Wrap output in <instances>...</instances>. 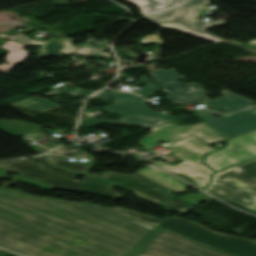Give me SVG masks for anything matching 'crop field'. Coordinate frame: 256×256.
<instances>
[{"label":"crop field","mask_w":256,"mask_h":256,"mask_svg":"<svg viewBox=\"0 0 256 256\" xmlns=\"http://www.w3.org/2000/svg\"><path fill=\"white\" fill-rule=\"evenodd\" d=\"M139 173L177 191V192H181L184 191L186 187L184 184H182L181 182L173 179L171 176H168L167 173L165 172H161L159 169H155L151 166L146 167L142 170L139 171Z\"/></svg>","instance_id":"obj_17"},{"label":"crop field","mask_w":256,"mask_h":256,"mask_svg":"<svg viewBox=\"0 0 256 256\" xmlns=\"http://www.w3.org/2000/svg\"><path fill=\"white\" fill-rule=\"evenodd\" d=\"M151 75H153L156 81L164 88V91H167V88H174L173 91H168L171 95L167 97L174 104L199 103L207 99V96L204 95L205 92L199 84H182L176 82L182 77L172 69L169 71L160 69ZM183 85H186L187 87H181Z\"/></svg>","instance_id":"obj_13"},{"label":"crop field","mask_w":256,"mask_h":256,"mask_svg":"<svg viewBox=\"0 0 256 256\" xmlns=\"http://www.w3.org/2000/svg\"><path fill=\"white\" fill-rule=\"evenodd\" d=\"M246 46L256 49V40L247 43Z\"/></svg>","instance_id":"obj_32"},{"label":"crop field","mask_w":256,"mask_h":256,"mask_svg":"<svg viewBox=\"0 0 256 256\" xmlns=\"http://www.w3.org/2000/svg\"><path fill=\"white\" fill-rule=\"evenodd\" d=\"M0 205L20 210L39 211L81 220L80 223L45 215H28L0 206V247L24 256L34 252L52 237H80L114 252L131 255L159 229L150 224L92 203H69L52 198L33 197L13 189H0ZM133 220L148 227V233L136 232L125 223ZM26 244L24 250L10 246L14 241ZM134 256H230L162 230Z\"/></svg>","instance_id":"obj_1"},{"label":"crop field","mask_w":256,"mask_h":256,"mask_svg":"<svg viewBox=\"0 0 256 256\" xmlns=\"http://www.w3.org/2000/svg\"><path fill=\"white\" fill-rule=\"evenodd\" d=\"M163 207L169 210L176 211L178 213L186 215L190 212L198 203L186 198L175 197L161 204Z\"/></svg>","instance_id":"obj_20"},{"label":"crop field","mask_w":256,"mask_h":256,"mask_svg":"<svg viewBox=\"0 0 256 256\" xmlns=\"http://www.w3.org/2000/svg\"><path fill=\"white\" fill-rule=\"evenodd\" d=\"M158 226L234 256H256V242L214 232L180 218L170 217Z\"/></svg>","instance_id":"obj_5"},{"label":"crop field","mask_w":256,"mask_h":256,"mask_svg":"<svg viewBox=\"0 0 256 256\" xmlns=\"http://www.w3.org/2000/svg\"><path fill=\"white\" fill-rule=\"evenodd\" d=\"M84 149H81L78 146H62L50 153L52 154H60V155H68V156H72L80 151H82Z\"/></svg>","instance_id":"obj_24"},{"label":"crop field","mask_w":256,"mask_h":256,"mask_svg":"<svg viewBox=\"0 0 256 256\" xmlns=\"http://www.w3.org/2000/svg\"><path fill=\"white\" fill-rule=\"evenodd\" d=\"M185 196H187V197H189V198H191V199H193V200H195V201H197L199 203L204 201V200L212 199V197H210V196H208L206 194H203L201 196H195L193 194H187Z\"/></svg>","instance_id":"obj_28"},{"label":"crop field","mask_w":256,"mask_h":256,"mask_svg":"<svg viewBox=\"0 0 256 256\" xmlns=\"http://www.w3.org/2000/svg\"><path fill=\"white\" fill-rule=\"evenodd\" d=\"M142 44H148V43H161V39L158 35H149L145 39H141Z\"/></svg>","instance_id":"obj_26"},{"label":"crop field","mask_w":256,"mask_h":256,"mask_svg":"<svg viewBox=\"0 0 256 256\" xmlns=\"http://www.w3.org/2000/svg\"><path fill=\"white\" fill-rule=\"evenodd\" d=\"M149 129L152 131V133L137 144L151 148L160 140L174 143L190 134H194L208 143H215L226 140V138H224L222 135L217 133L203 122H200L194 126H176L173 124L165 123Z\"/></svg>","instance_id":"obj_9"},{"label":"crop field","mask_w":256,"mask_h":256,"mask_svg":"<svg viewBox=\"0 0 256 256\" xmlns=\"http://www.w3.org/2000/svg\"><path fill=\"white\" fill-rule=\"evenodd\" d=\"M89 92H92V90L70 87V88H66V89H62V90H58V91H54V92H50V93H46V94L47 95L67 94L71 97H76V96L83 95V94H86Z\"/></svg>","instance_id":"obj_23"},{"label":"crop field","mask_w":256,"mask_h":256,"mask_svg":"<svg viewBox=\"0 0 256 256\" xmlns=\"http://www.w3.org/2000/svg\"><path fill=\"white\" fill-rule=\"evenodd\" d=\"M1 251V250H0Z\"/></svg>","instance_id":"obj_33"},{"label":"crop field","mask_w":256,"mask_h":256,"mask_svg":"<svg viewBox=\"0 0 256 256\" xmlns=\"http://www.w3.org/2000/svg\"><path fill=\"white\" fill-rule=\"evenodd\" d=\"M202 7H190L167 10L156 13L146 19L151 20L166 28L183 30L189 34L217 42L224 40L206 31L207 28L225 24L226 21L203 22L196 19Z\"/></svg>","instance_id":"obj_7"},{"label":"crop field","mask_w":256,"mask_h":256,"mask_svg":"<svg viewBox=\"0 0 256 256\" xmlns=\"http://www.w3.org/2000/svg\"><path fill=\"white\" fill-rule=\"evenodd\" d=\"M222 93L224 94L223 98L217 99L215 101L206 100L204 102L225 114L240 110V108H246L250 106V103L253 102L242 96L232 94L228 90L222 91Z\"/></svg>","instance_id":"obj_15"},{"label":"crop field","mask_w":256,"mask_h":256,"mask_svg":"<svg viewBox=\"0 0 256 256\" xmlns=\"http://www.w3.org/2000/svg\"><path fill=\"white\" fill-rule=\"evenodd\" d=\"M108 208L116 210V211L121 212L123 214L129 215L131 217L137 218L139 220H142L144 222L150 223V224L155 225V226L161 221V219H157V218H153V217H149V216H144V215H141V214H139L137 212H134V211H128V210L113 208V207H108Z\"/></svg>","instance_id":"obj_22"},{"label":"crop field","mask_w":256,"mask_h":256,"mask_svg":"<svg viewBox=\"0 0 256 256\" xmlns=\"http://www.w3.org/2000/svg\"><path fill=\"white\" fill-rule=\"evenodd\" d=\"M36 254L42 256H124L80 238H53Z\"/></svg>","instance_id":"obj_10"},{"label":"crop field","mask_w":256,"mask_h":256,"mask_svg":"<svg viewBox=\"0 0 256 256\" xmlns=\"http://www.w3.org/2000/svg\"><path fill=\"white\" fill-rule=\"evenodd\" d=\"M53 164L72 170L77 173L89 174L100 176L115 184L128 188L136 192V194L142 198H145L154 203H160L170 197L174 192L138 173L134 175H119L111 172H107L102 175L89 173L90 167L80 162H70L68 159L58 156L46 155ZM57 158L58 161H54ZM149 188L150 190H147Z\"/></svg>","instance_id":"obj_6"},{"label":"crop field","mask_w":256,"mask_h":256,"mask_svg":"<svg viewBox=\"0 0 256 256\" xmlns=\"http://www.w3.org/2000/svg\"><path fill=\"white\" fill-rule=\"evenodd\" d=\"M13 247H16V248H19V249H23L24 247H25V245L24 244H21V243H19V242H13L12 244H11Z\"/></svg>","instance_id":"obj_31"},{"label":"crop field","mask_w":256,"mask_h":256,"mask_svg":"<svg viewBox=\"0 0 256 256\" xmlns=\"http://www.w3.org/2000/svg\"><path fill=\"white\" fill-rule=\"evenodd\" d=\"M141 8L142 15L148 14L171 5L177 4L182 0H128Z\"/></svg>","instance_id":"obj_18"},{"label":"crop field","mask_w":256,"mask_h":256,"mask_svg":"<svg viewBox=\"0 0 256 256\" xmlns=\"http://www.w3.org/2000/svg\"><path fill=\"white\" fill-rule=\"evenodd\" d=\"M256 158V131L228 140L225 148L205 156V164L216 172Z\"/></svg>","instance_id":"obj_8"},{"label":"crop field","mask_w":256,"mask_h":256,"mask_svg":"<svg viewBox=\"0 0 256 256\" xmlns=\"http://www.w3.org/2000/svg\"><path fill=\"white\" fill-rule=\"evenodd\" d=\"M38 160L40 164L35 163ZM0 167L32 178L60 190L79 191L121 199L123 196L114 191L115 184L100 178L86 177L77 182V173L53 166L44 156L32 160L24 159L15 162L0 163Z\"/></svg>","instance_id":"obj_2"},{"label":"crop field","mask_w":256,"mask_h":256,"mask_svg":"<svg viewBox=\"0 0 256 256\" xmlns=\"http://www.w3.org/2000/svg\"><path fill=\"white\" fill-rule=\"evenodd\" d=\"M195 137L190 136L168 147V150L172 151L173 155L184 161L183 163L169 165L158 161L154 165L170 173L183 174L191 178L202 189L211 181L210 175L215 173L203 164L202 159L205 154L214 149Z\"/></svg>","instance_id":"obj_4"},{"label":"crop field","mask_w":256,"mask_h":256,"mask_svg":"<svg viewBox=\"0 0 256 256\" xmlns=\"http://www.w3.org/2000/svg\"><path fill=\"white\" fill-rule=\"evenodd\" d=\"M213 177V181L205 191L256 212V159L236 165ZM215 180L235 181L236 184L217 183ZM247 196L253 199L248 201L245 199Z\"/></svg>","instance_id":"obj_3"},{"label":"crop field","mask_w":256,"mask_h":256,"mask_svg":"<svg viewBox=\"0 0 256 256\" xmlns=\"http://www.w3.org/2000/svg\"><path fill=\"white\" fill-rule=\"evenodd\" d=\"M139 82L144 84L145 86L149 87L145 90L137 92L140 95H143V94L149 93L151 91L160 89V87L158 85L152 83L146 76H143V77L139 78Z\"/></svg>","instance_id":"obj_25"},{"label":"crop field","mask_w":256,"mask_h":256,"mask_svg":"<svg viewBox=\"0 0 256 256\" xmlns=\"http://www.w3.org/2000/svg\"><path fill=\"white\" fill-rule=\"evenodd\" d=\"M210 0H190L186 3H184V6H190V5H206L208 6V4Z\"/></svg>","instance_id":"obj_29"},{"label":"crop field","mask_w":256,"mask_h":256,"mask_svg":"<svg viewBox=\"0 0 256 256\" xmlns=\"http://www.w3.org/2000/svg\"><path fill=\"white\" fill-rule=\"evenodd\" d=\"M0 36L11 39L26 46H28L29 44L44 45V47L35 51L40 58H45L49 56L65 57L68 54V52H70L71 54L88 56L92 53H95L106 48L101 46H92L90 44L85 43H82L81 46L71 45L73 41L72 39H50L47 42H44L27 38L25 35H22L20 33H17L11 37L3 34H0Z\"/></svg>","instance_id":"obj_12"},{"label":"crop field","mask_w":256,"mask_h":256,"mask_svg":"<svg viewBox=\"0 0 256 256\" xmlns=\"http://www.w3.org/2000/svg\"><path fill=\"white\" fill-rule=\"evenodd\" d=\"M0 129L12 136H21L28 132L39 129V127L20 121H0Z\"/></svg>","instance_id":"obj_19"},{"label":"crop field","mask_w":256,"mask_h":256,"mask_svg":"<svg viewBox=\"0 0 256 256\" xmlns=\"http://www.w3.org/2000/svg\"><path fill=\"white\" fill-rule=\"evenodd\" d=\"M126 226H128V227H130V228H132V229H134L136 231H140V232H143V233L147 232V228L146 227L141 226V225H139L137 223H134L132 221L127 222Z\"/></svg>","instance_id":"obj_27"},{"label":"crop field","mask_w":256,"mask_h":256,"mask_svg":"<svg viewBox=\"0 0 256 256\" xmlns=\"http://www.w3.org/2000/svg\"><path fill=\"white\" fill-rule=\"evenodd\" d=\"M101 123H117V124H134L142 127H152L161 123H165L162 121L157 120H150V119H144V118H138V117H130L126 116L120 120H92V119H82L79 126H94Z\"/></svg>","instance_id":"obj_16"},{"label":"crop field","mask_w":256,"mask_h":256,"mask_svg":"<svg viewBox=\"0 0 256 256\" xmlns=\"http://www.w3.org/2000/svg\"><path fill=\"white\" fill-rule=\"evenodd\" d=\"M15 105H17L18 107L35 109L42 112H45L47 110H50L52 108L59 106L44 98H32L22 102L15 103Z\"/></svg>","instance_id":"obj_21"},{"label":"crop field","mask_w":256,"mask_h":256,"mask_svg":"<svg viewBox=\"0 0 256 256\" xmlns=\"http://www.w3.org/2000/svg\"><path fill=\"white\" fill-rule=\"evenodd\" d=\"M196 115L230 139L256 130V106L219 119L206 112Z\"/></svg>","instance_id":"obj_11"},{"label":"crop field","mask_w":256,"mask_h":256,"mask_svg":"<svg viewBox=\"0 0 256 256\" xmlns=\"http://www.w3.org/2000/svg\"><path fill=\"white\" fill-rule=\"evenodd\" d=\"M24 213H28V214H44V213H39V212H24ZM46 215H50V214H46ZM50 216H54V217L61 218V219H66V218H63V217L55 216V215H50ZM66 220H71V219H66ZM71 221H77V220H71ZM77 222H80V221H77Z\"/></svg>","instance_id":"obj_30"},{"label":"crop field","mask_w":256,"mask_h":256,"mask_svg":"<svg viewBox=\"0 0 256 256\" xmlns=\"http://www.w3.org/2000/svg\"><path fill=\"white\" fill-rule=\"evenodd\" d=\"M95 96L112 98L115 100V104L104 108L106 110L117 111V112L144 116V117H150V118H155V119L164 120V121L175 119L169 114L151 110L150 108H148L146 105H144L142 102H140L137 99L138 97L137 95H133L130 93L100 92Z\"/></svg>","instance_id":"obj_14"}]
</instances>
